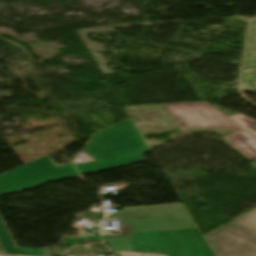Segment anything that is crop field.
Returning a JSON list of instances; mask_svg holds the SVG:
<instances>
[{"mask_svg":"<svg viewBox=\"0 0 256 256\" xmlns=\"http://www.w3.org/2000/svg\"><path fill=\"white\" fill-rule=\"evenodd\" d=\"M78 175L73 164L55 167L48 156L0 176V194L23 190L46 181Z\"/></svg>","mask_w":256,"mask_h":256,"instance_id":"obj_5","label":"crop field"},{"mask_svg":"<svg viewBox=\"0 0 256 256\" xmlns=\"http://www.w3.org/2000/svg\"><path fill=\"white\" fill-rule=\"evenodd\" d=\"M133 233L134 251L167 256H214L182 204L127 208L113 216Z\"/></svg>","mask_w":256,"mask_h":256,"instance_id":"obj_1","label":"crop field"},{"mask_svg":"<svg viewBox=\"0 0 256 256\" xmlns=\"http://www.w3.org/2000/svg\"><path fill=\"white\" fill-rule=\"evenodd\" d=\"M0 242L7 254L44 256L42 250L16 248L1 219H0Z\"/></svg>","mask_w":256,"mask_h":256,"instance_id":"obj_6","label":"crop field"},{"mask_svg":"<svg viewBox=\"0 0 256 256\" xmlns=\"http://www.w3.org/2000/svg\"><path fill=\"white\" fill-rule=\"evenodd\" d=\"M145 255V254H144ZM145 256H156V255H145Z\"/></svg>","mask_w":256,"mask_h":256,"instance_id":"obj_9","label":"crop field"},{"mask_svg":"<svg viewBox=\"0 0 256 256\" xmlns=\"http://www.w3.org/2000/svg\"><path fill=\"white\" fill-rule=\"evenodd\" d=\"M203 238L215 256H256V209Z\"/></svg>","mask_w":256,"mask_h":256,"instance_id":"obj_4","label":"crop field"},{"mask_svg":"<svg viewBox=\"0 0 256 256\" xmlns=\"http://www.w3.org/2000/svg\"><path fill=\"white\" fill-rule=\"evenodd\" d=\"M229 118L256 137V125H255L256 121L255 120L241 114L234 115Z\"/></svg>","mask_w":256,"mask_h":256,"instance_id":"obj_7","label":"crop field"},{"mask_svg":"<svg viewBox=\"0 0 256 256\" xmlns=\"http://www.w3.org/2000/svg\"><path fill=\"white\" fill-rule=\"evenodd\" d=\"M149 149L141 139L134 123L127 119L104 131L93 134L84 152L96 161L75 167L80 172L89 173L129 163L144 161L142 153Z\"/></svg>","mask_w":256,"mask_h":256,"instance_id":"obj_2","label":"crop field"},{"mask_svg":"<svg viewBox=\"0 0 256 256\" xmlns=\"http://www.w3.org/2000/svg\"><path fill=\"white\" fill-rule=\"evenodd\" d=\"M115 256H144L143 254L114 253Z\"/></svg>","mask_w":256,"mask_h":256,"instance_id":"obj_8","label":"crop field"},{"mask_svg":"<svg viewBox=\"0 0 256 256\" xmlns=\"http://www.w3.org/2000/svg\"><path fill=\"white\" fill-rule=\"evenodd\" d=\"M177 118L181 130L192 128L234 129L230 143L251 160L256 159V139L206 102L160 105Z\"/></svg>","mask_w":256,"mask_h":256,"instance_id":"obj_3","label":"crop field"}]
</instances>
